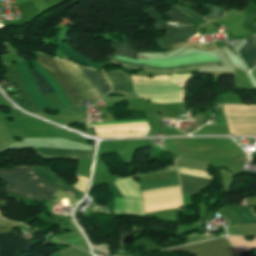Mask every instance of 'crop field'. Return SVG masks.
Returning a JSON list of instances; mask_svg holds the SVG:
<instances>
[{
    "instance_id": "obj_1",
    "label": "crop field",
    "mask_w": 256,
    "mask_h": 256,
    "mask_svg": "<svg viewBox=\"0 0 256 256\" xmlns=\"http://www.w3.org/2000/svg\"><path fill=\"white\" fill-rule=\"evenodd\" d=\"M53 60L59 66V68L64 72V74L68 77V79L72 82V84L77 88L80 92L83 99H89L98 102L103 96L108 93L111 89L108 81L102 76L100 73L87 69L83 66H79L86 77L88 78L89 82L93 86L96 95L86 79L85 75L78 67V65L68 63L65 61ZM51 57H38L36 61L56 80V82L62 88L64 94L72 103V105H78L81 97L76 90V88L71 84V82L67 79V77L63 74V72L58 68V66L54 63ZM101 82L102 84L99 85L98 83Z\"/></svg>"
},
{
    "instance_id": "obj_2",
    "label": "crop field",
    "mask_w": 256,
    "mask_h": 256,
    "mask_svg": "<svg viewBox=\"0 0 256 256\" xmlns=\"http://www.w3.org/2000/svg\"><path fill=\"white\" fill-rule=\"evenodd\" d=\"M28 172H33V167H14L10 170H0V178L9 181V186L6 187L10 193L19 194L32 199L49 200L50 196L58 189L36 174L28 178L26 175ZM34 175L37 177H32Z\"/></svg>"
},
{
    "instance_id": "obj_3",
    "label": "crop field",
    "mask_w": 256,
    "mask_h": 256,
    "mask_svg": "<svg viewBox=\"0 0 256 256\" xmlns=\"http://www.w3.org/2000/svg\"><path fill=\"white\" fill-rule=\"evenodd\" d=\"M36 71H38L45 79L46 81L49 83V85L53 88V90L57 93V95L59 96V98L61 99V101L63 102V104L65 105V107L71 106V103L68 101V99L65 97V95L63 94L61 88L58 86V84L54 81V79L35 61L34 62H30ZM18 72L20 73L26 88L29 92V95L31 96V98L34 100V102L37 104V106H45V107H51L46 101L45 99L41 96L30 72L28 71V68L26 67V65L24 64V62L16 64L15 65ZM35 70H30L42 95H47V94H51L54 93V91L52 90V88L48 85V83L45 81V79Z\"/></svg>"
},
{
    "instance_id": "obj_4",
    "label": "crop field",
    "mask_w": 256,
    "mask_h": 256,
    "mask_svg": "<svg viewBox=\"0 0 256 256\" xmlns=\"http://www.w3.org/2000/svg\"><path fill=\"white\" fill-rule=\"evenodd\" d=\"M111 46L113 49H115L117 51L115 53V55L131 58V59H135V60L137 59V57H136L137 52H135L130 47L129 44L120 43V42H112ZM113 56L109 57L108 59L115 64H122V65L130 66V67H134V68L145 69V70H149V71L175 72V71H179V70H183V69H190V68L222 66L220 61H216V62H208V63L183 65V66H178V67H174V68H158V67H148V66L139 65L136 63H132V62H128V61H124V60L115 58Z\"/></svg>"
},
{
    "instance_id": "obj_5",
    "label": "crop field",
    "mask_w": 256,
    "mask_h": 256,
    "mask_svg": "<svg viewBox=\"0 0 256 256\" xmlns=\"http://www.w3.org/2000/svg\"><path fill=\"white\" fill-rule=\"evenodd\" d=\"M145 13L149 14L153 19L158 21L156 30L159 31V30L163 29V30L169 31L172 28L169 25L163 24L159 20V15L152 8L145 10ZM194 34H196V31L194 30V28L192 26H186V27H181V28H172L168 32L166 37L161 38V40H163V41L166 40V44L160 45L158 42L159 39H157L156 42H157L158 46H160V47L170 46L175 43L183 42V41L189 39Z\"/></svg>"
},
{
    "instance_id": "obj_6",
    "label": "crop field",
    "mask_w": 256,
    "mask_h": 256,
    "mask_svg": "<svg viewBox=\"0 0 256 256\" xmlns=\"http://www.w3.org/2000/svg\"><path fill=\"white\" fill-rule=\"evenodd\" d=\"M34 243L20 237L14 232L0 234V256H27L17 255L15 251H25L33 247Z\"/></svg>"
},
{
    "instance_id": "obj_7",
    "label": "crop field",
    "mask_w": 256,
    "mask_h": 256,
    "mask_svg": "<svg viewBox=\"0 0 256 256\" xmlns=\"http://www.w3.org/2000/svg\"><path fill=\"white\" fill-rule=\"evenodd\" d=\"M109 80L113 90L111 92L122 93L125 95L135 94L132 90V80L130 75L120 71H108L104 73Z\"/></svg>"
},
{
    "instance_id": "obj_8",
    "label": "crop field",
    "mask_w": 256,
    "mask_h": 256,
    "mask_svg": "<svg viewBox=\"0 0 256 256\" xmlns=\"http://www.w3.org/2000/svg\"><path fill=\"white\" fill-rule=\"evenodd\" d=\"M246 44L241 49L239 55L251 70L254 66H256V35L245 37Z\"/></svg>"
},
{
    "instance_id": "obj_9",
    "label": "crop field",
    "mask_w": 256,
    "mask_h": 256,
    "mask_svg": "<svg viewBox=\"0 0 256 256\" xmlns=\"http://www.w3.org/2000/svg\"><path fill=\"white\" fill-rule=\"evenodd\" d=\"M204 7L208 8L211 11V14H209L206 17H215V18H220L221 16H223L224 11L223 10H219L218 8L211 6V5H203ZM180 11L184 12L185 14H187L191 19L195 20L196 22H198L200 25H202L204 28L207 27L211 22L217 20L214 18H205L202 16H198L197 14H195L191 9L189 8H185V7H179Z\"/></svg>"
},
{
    "instance_id": "obj_10",
    "label": "crop field",
    "mask_w": 256,
    "mask_h": 256,
    "mask_svg": "<svg viewBox=\"0 0 256 256\" xmlns=\"http://www.w3.org/2000/svg\"><path fill=\"white\" fill-rule=\"evenodd\" d=\"M36 150L40 155L76 157V158H88V157H91V154H92V151H84V150H67V149H50V148H38Z\"/></svg>"
},
{
    "instance_id": "obj_11",
    "label": "crop field",
    "mask_w": 256,
    "mask_h": 256,
    "mask_svg": "<svg viewBox=\"0 0 256 256\" xmlns=\"http://www.w3.org/2000/svg\"><path fill=\"white\" fill-rule=\"evenodd\" d=\"M179 177L181 180V192L187 194H194L200 186H205L210 182L209 179L184 176L180 174Z\"/></svg>"
},
{
    "instance_id": "obj_12",
    "label": "crop field",
    "mask_w": 256,
    "mask_h": 256,
    "mask_svg": "<svg viewBox=\"0 0 256 256\" xmlns=\"http://www.w3.org/2000/svg\"><path fill=\"white\" fill-rule=\"evenodd\" d=\"M61 47V49L63 50V52L73 61L82 63V64H86L89 66H93V67H97L94 63H92L91 61L87 60L86 58H84L83 56L79 55L78 53H76L75 51L71 50V49H67L65 44H60L59 45ZM99 68V67H97Z\"/></svg>"
},
{
    "instance_id": "obj_13",
    "label": "crop field",
    "mask_w": 256,
    "mask_h": 256,
    "mask_svg": "<svg viewBox=\"0 0 256 256\" xmlns=\"http://www.w3.org/2000/svg\"><path fill=\"white\" fill-rule=\"evenodd\" d=\"M234 207L242 216L245 223H256V216L249 211L248 207H238L237 205Z\"/></svg>"
},
{
    "instance_id": "obj_14",
    "label": "crop field",
    "mask_w": 256,
    "mask_h": 256,
    "mask_svg": "<svg viewBox=\"0 0 256 256\" xmlns=\"http://www.w3.org/2000/svg\"><path fill=\"white\" fill-rule=\"evenodd\" d=\"M174 9L167 13V15L175 22L181 23L182 25L190 24L187 20V16L183 15L177 8L172 6Z\"/></svg>"
},
{
    "instance_id": "obj_15",
    "label": "crop field",
    "mask_w": 256,
    "mask_h": 256,
    "mask_svg": "<svg viewBox=\"0 0 256 256\" xmlns=\"http://www.w3.org/2000/svg\"><path fill=\"white\" fill-rule=\"evenodd\" d=\"M25 1H27V0H17L18 4L25 2Z\"/></svg>"
},
{
    "instance_id": "obj_16",
    "label": "crop field",
    "mask_w": 256,
    "mask_h": 256,
    "mask_svg": "<svg viewBox=\"0 0 256 256\" xmlns=\"http://www.w3.org/2000/svg\"><path fill=\"white\" fill-rule=\"evenodd\" d=\"M253 213L256 215V211H253Z\"/></svg>"
}]
</instances>
